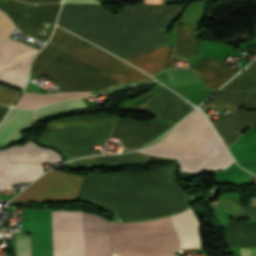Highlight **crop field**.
<instances>
[{
	"instance_id": "8a807250",
	"label": "crop field",
	"mask_w": 256,
	"mask_h": 256,
	"mask_svg": "<svg viewBox=\"0 0 256 256\" xmlns=\"http://www.w3.org/2000/svg\"><path fill=\"white\" fill-rule=\"evenodd\" d=\"M185 5H128L114 15L101 4H64L57 24L125 59L167 46L165 32Z\"/></svg>"
},
{
	"instance_id": "ac0d7876",
	"label": "crop field",
	"mask_w": 256,
	"mask_h": 256,
	"mask_svg": "<svg viewBox=\"0 0 256 256\" xmlns=\"http://www.w3.org/2000/svg\"><path fill=\"white\" fill-rule=\"evenodd\" d=\"M77 198L114 211L119 222L158 219L188 207L171 168L142 174L87 175Z\"/></svg>"
},
{
	"instance_id": "34b2d1b8",
	"label": "crop field",
	"mask_w": 256,
	"mask_h": 256,
	"mask_svg": "<svg viewBox=\"0 0 256 256\" xmlns=\"http://www.w3.org/2000/svg\"><path fill=\"white\" fill-rule=\"evenodd\" d=\"M91 45L56 27L49 44L33 59L30 72L57 78L59 91H104L150 79Z\"/></svg>"
},
{
	"instance_id": "412701ff",
	"label": "crop field",
	"mask_w": 256,
	"mask_h": 256,
	"mask_svg": "<svg viewBox=\"0 0 256 256\" xmlns=\"http://www.w3.org/2000/svg\"><path fill=\"white\" fill-rule=\"evenodd\" d=\"M140 152L178 158L186 171L222 170L233 162L212 127L198 110L161 140Z\"/></svg>"
},
{
	"instance_id": "f4fd0767",
	"label": "crop field",
	"mask_w": 256,
	"mask_h": 256,
	"mask_svg": "<svg viewBox=\"0 0 256 256\" xmlns=\"http://www.w3.org/2000/svg\"><path fill=\"white\" fill-rule=\"evenodd\" d=\"M84 213L54 212V256H83ZM84 256H110L108 223L85 214Z\"/></svg>"
},
{
	"instance_id": "dd49c442",
	"label": "crop field",
	"mask_w": 256,
	"mask_h": 256,
	"mask_svg": "<svg viewBox=\"0 0 256 256\" xmlns=\"http://www.w3.org/2000/svg\"><path fill=\"white\" fill-rule=\"evenodd\" d=\"M116 116L89 114L49 123L39 141L57 147L68 157L91 154L95 142L108 138Z\"/></svg>"
},
{
	"instance_id": "e52e79f7",
	"label": "crop field",
	"mask_w": 256,
	"mask_h": 256,
	"mask_svg": "<svg viewBox=\"0 0 256 256\" xmlns=\"http://www.w3.org/2000/svg\"><path fill=\"white\" fill-rule=\"evenodd\" d=\"M112 243L167 239L177 237L169 218L138 223H110ZM178 239L112 244L121 256H173Z\"/></svg>"
},
{
	"instance_id": "d8731c3e",
	"label": "crop field",
	"mask_w": 256,
	"mask_h": 256,
	"mask_svg": "<svg viewBox=\"0 0 256 256\" xmlns=\"http://www.w3.org/2000/svg\"><path fill=\"white\" fill-rule=\"evenodd\" d=\"M14 24L0 11V79L24 86L31 57L38 51L7 38Z\"/></svg>"
},
{
	"instance_id": "5a996713",
	"label": "crop field",
	"mask_w": 256,
	"mask_h": 256,
	"mask_svg": "<svg viewBox=\"0 0 256 256\" xmlns=\"http://www.w3.org/2000/svg\"><path fill=\"white\" fill-rule=\"evenodd\" d=\"M196 25L177 26V57L192 58L199 54ZM190 70L199 75L205 87L217 90L239 69L221 66L215 58L205 56Z\"/></svg>"
},
{
	"instance_id": "3316defc",
	"label": "crop field",
	"mask_w": 256,
	"mask_h": 256,
	"mask_svg": "<svg viewBox=\"0 0 256 256\" xmlns=\"http://www.w3.org/2000/svg\"><path fill=\"white\" fill-rule=\"evenodd\" d=\"M59 4L25 5L14 0H2L0 9L20 31L44 42L48 39L57 16Z\"/></svg>"
},
{
	"instance_id": "28ad6ade",
	"label": "crop field",
	"mask_w": 256,
	"mask_h": 256,
	"mask_svg": "<svg viewBox=\"0 0 256 256\" xmlns=\"http://www.w3.org/2000/svg\"><path fill=\"white\" fill-rule=\"evenodd\" d=\"M82 177L52 170L12 201L75 199Z\"/></svg>"
},
{
	"instance_id": "d1516ede",
	"label": "crop field",
	"mask_w": 256,
	"mask_h": 256,
	"mask_svg": "<svg viewBox=\"0 0 256 256\" xmlns=\"http://www.w3.org/2000/svg\"><path fill=\"white\" fill-rule=\"evenodd\" d=\"M87 107L81 98L76 100L62 101L40 109L24 111L11 109L4 122L0 126V144L15 140L30 118L52 114L67 109Z\"/></svg>"
},
{
	"instance_id": "22f410ed",
	"label": "crop field",
	"mask_w": 256,
	"mask_h": 256,
	"mask_svg": "<svg viewBox=\"0 0 256 256\" xmlns=\"http://www.w3.org/2000/svg\"><path fill=\"white\" fill-rule=\"evenodd\" d=\"M193 108L173 92L164 88L137 109L176 123Z\"/></svg>"
},
{
	"instance_id": "cbeb9de0",
	"label": "crop field",
	"mask_w": 256,
	"mask_h": 256,
	"mask_svg": "<svg viewBox=\"0 0 256 256\" xmlns=\"http://www.w3.org/2000/svg\"><path fill=\"white\" fill-rule=\"evenodd\" d=\"M43 172L42 163H9L8 149L0 151V189L32 181Z\"/></svg>"
},
{
	"instance_id": "5142ce71",
	"label": "crop field",
	"mask_w": 256,
	"mask_h": 256,
	"mask_svg": "<svg viewBox=\"0 0 256 256\" xmlns=\"http://www.w3.org/2000/svg\"><path fill=\"white\" fill-rule=\"evenodd\" d=\"M167 128L149 123L139 125L118 120L112 135L121 137L124 146L137 148L156 138Z\"/></svg>"
},
{
	"instance_id": "d9b57169",
	"label": "crop field",
	"mask_w": 256,
	"mask_h": 256,
	"mask_svg": "<svg viewBox=\"0 0 256 256\" xmlns=\"http://www.w3.org/2000/svg\"><path fill=\"white\" fill-rule=\"evenodd\" d=\"M175 44L125 59L137 68L153 75L163 69L172 68Z\"/></svg>"
},
{
	"instance_id": "733c2abd",
	"label": "crop field",
	"mask_w": 256,
	"mask_h": 256,
	"mask_svg": "<svg viewBox=\"0 0 256 256\" xmlns=\"http://www.w3.org/2000/svg\"><path fill=\"white\" fill-rule=\"evenodd\" d=\"M256 122V112H235L212 123L227 147L239 135V131Z\"/></svg>"
},
{
	"instance_id": "4a817a6b",
	"label": "crop field",
	"mask_w": 256,
	"mask_h": 256,
	"mask_svg": "<svg viewBox=\"0 0 256 256\" xmlns=\"http://www.w3.org/2000/svg\"><path fill=\"white\" fill-rule=\"evenodd\" d=\"M170 219L179 236L181 247L201 246L198 234L199 224L190 208L171 216Z\"/></svg>"
},
{
	"instance_id": "bc2a9ffb",
	"label": "crop field",
	"mask_w": 256,
	"mask_h": 256,
	"mask_svg": "<svg viewBox=\"0 0 256 256\" xmlns=\"http://www.w3.org/2000/svg\"><path fill=\"white\" fill-rule=\"evenodd\" d=\"M41 148L30 141L24 145L9 147L10 162H57L62 160L60 155L54 151Z\"/></svg>"
},
{
	"instance_id": "214f88e0",
	"label": "crop field",
	"mask_w": 256,
	"mask_h": 256,
	"mask_svg": "<svg viewBox=\"0 0 256 256\" xmlns=\"http://www.w3.org/2000/svg\"><path fill=\"white\" fill-rule=\"evenodd\" d=\"M220 91L253 92V97L243 108L256 109V60Z\"/></svg>"
},
{
	"instance_id": "92a150f3",
	"label": "crop field",
	"mask_w": 256,
	"mask_h": 256,
	"mask_svg": "<svg viewBox=\"0 0 256 256\" xmlns=\"http://www.w3.org/2000/svg\"><path fill=\"white\" fill-rule=\"evenodd\" d=\"M150 156L138 154L136 152L132 154H124L119 156H99V157H88L78 159L69 162L71 166L81 165H99V164H117V163H135V162H146Z\"/></svg>"
},
{
	"instance_id": "dafd665d",
	"label": "crop field",
	"mask_w": 256,
	"mask_h": 256,
	"mask_svg": "<svg viewBox=\"0 0 256 256\" xmlns=\"http://www.w3.org/2000/svg\"><path fill=\"white\" fill-rule=\"evenodd\" d=\"M91 95L90 93H59L54 95H43V94H30L23 93L22 97L18 101L16 107L18 108H35L38 106H43L48 103Z\"/></svg>"
},
{
	"instance_id": "00972430",
	"label": "crop field",
	"mask_w": 256,
	"mask_h": 256,
	"mask_svg": "<svg viewBox=\"0 0 256 256\" xmlns=\"http://www.w3.org/2000/svg\"><path fill=\"white\" fill-rule=\"evenodd\" d=\"M251 95L252 93L246 92H219L208 104L235 111L247 102Z\"/></svg>"
},
{
	"instance_id": "a9b5d70f",
	"label": "crop field",
	"mask_w": 256,
	"mask_h": 256,
	"mask_svg": "<svg viewBox=\"0 0 256 256\" xmlns=\"http://www.w3.org/2000/svg\"><path fill=\"white\" fill-rule=\"evenodd\" d=\"M14 248L15 256H30L29 236L16 234Z\"/></svg>"
},
{
	"instance_id": "4177f3b9",
	"label": "crop field",
	"mask_w": 256,
	"mask_h": 256,
	"mask_svg": "<svg viewBox=\"0 0 256 256\" xmlns=\"http://www.w3.org/2000/svg\"><path fill=\"white\" fill-rule=\"evenodd\" d=\"M19 92L9 89L7 87L0 86V103L5 105H11Z\"/></svg>"
},
{
	"instance_id": "730fd06b",
	"label": "crop field",
	"mask_w": 256,
	"mask_h": 256,
	"mask_svg": "<svg viewBox=\"0 0 256 256\" xmlns=\"http://www.w3.org/2000/svg\"><path fill=\"white\" fill-rule=\"evenodd\" d=\"M241 256H256V248L254 249H240Z\"/></svg>"
},
{
	"instance_id": "eef30255",
	"label": "crop field",
	"mask_w": 256,
	"mask_h": 256,
	"mask_svg": "<svg viewBox=\"0 0 256 256\" xmlns=\"http://www.w3.org/2000/svg\"><path fill=\"white\" fill-rule=\"evenodd\" d=\"M64 3H99L98 0H64Z\"/></svg>"
},
{
	"instance_id": "ae1a2a85",
	"label": "crop field",
	"mask_w": 256,
	"mask_h": 256,
	"mask_svg": "<svg viewBox=\"0 0 256 256\" xmlns=\"http://www.w3.org/2000/svg\"><path fill=\"white\" fill-rule=\"evenodd\" d=\"M26 3H47V2H60V0H19Z\"/></svg>"
},
{
	"instance_id": "d3111659",
	"label": "crop field",
	"mask_w": 256,
	"mask_h": 256,
	"mask_svg": "<svg viewBox=\"0 0 256 256\" xmlns=\"http://www.w3.org/2000/svg\"><path fill=\"white\" fill-rule=\"evenodd\" d=\"M8 109H9L8 107L0 105V121L2 120V118L4 117Z\"/></svg>"
}]
</instances>
